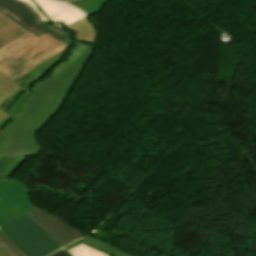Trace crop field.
<instances>
[{
    "label": "crop field",
    "instance_id": "1",
    "mask_svg": "<svg viewBox=\"0 0 256 256\" xmlns=\"http://www.w3.org/2000/svg\"><path fill=\"white\" fill-rule=\"evenodd\" d=\"M93 47L79 42L69 59L55 69L52 78L39 83L1 150L0 178L10 177L27 157L40 156L41 148L36 142L35 135L67 100L75 81L92 54Z\"/></svg>",
    "mask_w": 256,
    "mask_h": 256
},
{
    "label": "crop field",
    "instance_id": "2",
    "mask_svg": "<svg viewBox=\"0 0 256 256\" xmlns=\"http://www.w3.org/2000/svg\"><path fill=\"white\" fill-rule=\"evenodd\" d=\"M67 47L46 34L38 38L29 32L0 49V72L14 81Z\"/></svg>",
    "mask_w": 256,
    "mask_h": 256
},
{
    "label": "crop field",
    "instance_id": "3",
    "mask_svg": "<svg viewBox=\"0 0 256 256\" xmlns=\"http://www.w3.org/2000/svg\"><path fill=\"white\" fill-rule=\"evenodd\" d=\"M68 48L43 62L26 75L15 81L22 89L0 105V109L8 115V117L0 123V150L6 137L26 108L38 83L40 82V78L63 58Z\"/></svg>",
    "mask_w": 256,
    "mask_h": 256
},
{
    "label": "crop field",
    "instance_id": "4",
    "mask_svg": "<svg viewBox=\"0 0 256 256\" xmlns=\"http://www.w3.org/2000/svg\"><path fill=\"white\" fill-rule=\"evenodd\" d=\"M0 231L27 256H46L62 248L27 215L0 225Z\"/></svg>",
    "mask_w": 256,
    "mask_h": 256
},
{
    "label": "crop field",
    "instance_id": "5",
    "mask_svg": "<svg viewBox=\"0 0 256 256\" xmlns=\"http://www.w3.org/2000/svg\"><path fill=\"white\" fill-rule=\"evenodd\" d=\"M25 183L13 179H0V224L28 214L35 206L27 194Z\"/></svg>",
    "mask_w": 256,
    "mask_h": 256
},
{
    "label": "crop field",
    "instance_id": "6",
    "mask_svg": "<svg viewBox=\"0 0 256 256\" xmlns=\"http://www.w3.org/2000/svg\"><path fill=\"white\" fill-rule=\"evenodd\" d=\"M0 11L38 37L46 33L60 42L65 41L64 32L47 24H39L34 11L22 2L0 0Z\"/></svg>",
    "mask_w": 256,
    "mask_h": 256
},
{
    "label": "crop field",
    "instance_id": "7",
    "mask_svg": "<svg viewBox=\"0 0 256 256\" xmlns=\"http://www.w3.org/2000/svg\"><path fill=\"white\" fill-rule=\"evenodd\" d=\"M30 216L48 235H50L62 247L84 236L78 230L71 228L63 220L39 209L34 208Z\"/></svg>",
    "mask_w": 256,
    "mask_h": 256
},
{
    "label": "crop field",
    "instance_id": "8",
    "mask_svg": "<svg viewBox=\"0 0 256 256\" xmlns=\"http://www.w3.org/2000/svg\"><path fill=\"white\" fill-rule=\"evenodd\" d=\"M27 32L29 31L0 12V48Z\"/></svg>",
    "mask_w": 256,
    "mask_h": 256
},
{
    "label": "crop field",
    "instance_id": "9",
    "mask_svg": "<svg viewBox=\"0 0 256 256\" xmlns=\"http://www.w3.org/2000/svg\"><path fill=\"white\" fill-rule=\"evenodd\" d=\"M80 243H83V244H86V245H88L92 248H95V249H97V250H99L103 253L108 254L109 256H131V255H129V254L113 247V246H110L108 244H105V243L97 240L96 238H94L90 235H88V236H86V237H84V238L66 246L64 249L67 251V250L73 248L74 246H76Z\"/></svg>",
    "mask_w": 256,
    "mask_h": 256
},
{
    "label": "crop field",
    "instance_id": "10",
    "mask_svg": "<svg viewBox=\"0 0 256 256\" xmlns=\"http://www.w3.org/2000/svg\"><path fill=\"white\" fill-rule=\"evenodd\" d=\"M77 33L76 41L95 44L96 31L91 27L87 18L72 25L66 26Z\"/></svg>",
    "mask_w": 256,
    "mask_h": 256
},
{
    "label": "crop field",
    "instance_id": "11",
    "mask_svg": "<svg viewBox=\"0 0 256 256\" xmlns=\"http://www.w3.org/2000/svg\"><path fill=\"white\" fill-rule=\"evenodd\" d=\"M19 89L18 84L0 73V104Z\"/></svg>",
    "mask_w": 256,
    "mask_h": 256
},
{
    "label": "crop field",
    "instance_id": "12",
    "mask_svg": "<svg viewBox=\"0 0 256 256\" xmlns=\"http://www.w3.org/2000/svg\"><path fill=\"white\" fill-rule=\"evenodd\" d=\"M109 0H78L71 2L82 8L88 15L97 13L101 10L102 4Z\"/></svg>",
    "mask_w": 256,
    "mask_h": 256
},
{
    "label": "crop field",
    "instance_id": "13",
    "mask_svg": "<svg viewBox=\"0 0 256 256\" xmlns=\"http://www.w3.org/2000/svg\"><path fill=\"white\" fill-rule=\"evenodd\" d=\"M73 256H107L97 250H94L86 245H78L73 249L67 251Z\"/></svg>",
    "mask_w": 256,
    "mask_h": 256
},
{
    "label": "crop field",
    "instance_id": "14",
    "mask_svg": "<svg viewBox=\"0 0 256 256\" xmlns=\"http://www.w3.org/2000/svg\"><path fill=\"white\" fill-rule=\"evenodd\" d=\"M0 241L11 250L16 256H26L20 251L3 233L0 232Z\"/></svg>",
    "mask_w": 256,
    "mask_h": 256
},
{
    "label": "crop field",
    "instance_id": "15",
    "mask_svg": "<svg viewBox=\"0 0 256 256\" xmlns=\"http://www.w3.org/2000/svg\"><path fill=\"white\" fill-rule=\"evenodd\" d=\"M0 256H15L0 242Z\"/></svg>",
    "mask_w": 256,
    "mask_h": 256
},
{
    "label": "crop field",
    "instance_id": "16",
    "mask_svg": "<svg viewBox=\"0 0 256 256\" xmlns=\"http://www.w3.org/2000/svg\"><path fill=\"white\" fill-rule=\"evenodd\" d=\"M50 256H70L69 254H67L65 251H63V250H60V251H58V252H56V253H54V254H52V255H50Z\"/></svg>",
    "mask_w": 256,
    "mask_h": 256
},
{
    "label": "crop field",
    "instance_id": "17",
    "mask_svg": "<svg viewBox=\"0 0 256 256\" xmlns=\"http://www.w3.org/2000/svg\"><path fill=\"white\" fill-rule=\"evenodd\" d=\"M65 44H67L68 46L71 44V37L69 33H66V41Z\"/></svg>",
    "mask_w": 256,
    "mask_h": 256
},
{
    "label": "crop field",
    "instance_id": "18",
    "mask_svg": "<svg viewBox=\"0 0 256 256\" xmlns=\"http://www.w3.org/2000/svg\"><path fill=\"white\" fill-rule=\"evenodd\" d=\"M6 116H7V115H6L3 111L0 110V122H1L3 119H5Z\"/></svg>",
    "mask_w": 256,
    "mask_h": 256
}]
</instances>
